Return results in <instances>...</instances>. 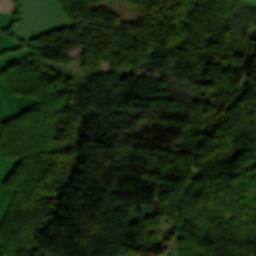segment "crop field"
<instances>
[{
    "mask_svg": "<svg viewBox=\"0 0 256 256\" xmlns=\"http://www.w3.org/2000/svg\"><path fill=\"white\" fill-rule=\"evenodd\" d=\"M21 23L11 33L27 42L54 31L75 26L58 0H18Z\"/></svg>",
    "mask_w": 256,
    "mask_h": 256,
    "instance_id": "8a807250",
    "label": "crop field"
},
{
    "mask_svg": "<svg viewBox=\"0 0 256 256\" xmlns=\"http://www.w3.org/2000/svg\"><path fill=\"white\" fill-rule=\"evenodd\" d=\"M13 120L14 118L9 114L0 96V136L2 133V126ZM20 162V159L6 160L0 146V226L11 208L17 191L16 189L2 185Z\"/></svg>",
    "mask_w": 256,
    "mask_h": 256,
    "instance_id": "ac0d7876",
    "label": "crop field"
},
{
    "mask_svg": "<svg viewBox=\"0 0 256 256\" xmlns=\"http://www.w3.org/2000/svg\"><path fill=\"white\" fill-rule=\"evenodd\" d=\"M0 93L3 97L5 106L15 119L18 118L25 111H27L34 103V96H12L1 77Z\"/></svg>",
    "mask_w": 256,
    "mask_h": 256,
    "instance_id": "34b2d1b8",
    "label": "crop field"
},
{
    "mask_svg": "<svg viewBox=\"0 0 256 256\" xmlns=\"http://www.w3.org/2000/svg\"><path fill=\"white\" fill-rule=\"evenodd\" d=\"M36 54V52L32 51L30 48H25L17 52L6 54L0 57V71L5 68L7 65L15 62L16 60L31 56Z\"/></svg>",
    "mask_w": 256,
    "mask_h": 256,
    "instance_id": "412701ff",
    "label": "crop field"
},
{
    "mask_svg": "<svg viewBox=\"0 0 256 256\" xmlns=\"http://www.w3.org/2000/svg\"><path fill=\"white\" fill-rule=\"evenodd\" d=\"M5 36H6V34L4 32L0 31V52H4L6 50L16 48V47L23 45L18 42L7 39V38H5Z\"/></svg>",
    "mask_w": 256,
    "mask_h": 256,
    "instance_id": "f4fd0767",
    "label": "crop field"
},
{
    "mask_svg": "<svg viewBox=\"0 0 256 256\" xmlns=\"http://www.w3.org/2000/svg\"><path fill=\"white\" fill-rule=\"evenodd\" d=\"M14 14L0 13V30L5 31L13 22Z\"/></svg>",
    "mask_w": 256,
    "mask_h": 256,
    "instance_id": "dd49c442",
    "label": "crop field"
},
{
    "mask_svg": "<svg viewBox=\"0 0 256 256\" xmlns=\"http://www.w3.org/2000/svg\"><path fill=\"white\" fill-rule=\"evenodd\" d=\"M0 12L15 13L13 0H0Z\"/></svg>",
    "mask_w": 256,
    "mask_h": 256,
    "instance_id": "e52e79f7",
    "label": "crop field"
},
{
    "mask_svg": "<svg viewBox=\"0 0 256 256\" xmlns=\"http://www.w3.org/2000/svg\"><path fill=\"white\" fill-rule=\"evenodd\" d=\"M137 254L133 252L130 248H124L117 252L114 256H136Z\"/></svg>",
    "mask_w": 256,
    "mask_h": 256,
    "instance_id": "d8731c3e",
    "label": "crop field"
},
{
    "mask_svg": "<svg viewBox=\"0 0 256 256\" xmlns=\"http://www.w3.org/2000/svg\"><path fill=\"white\" fill-rule=\"evenodd\" d=\"M163 256H180V246H175L171 248L170 251H168L165 255Z\"/></svg>",
    "mask_w": 256,
    "mask_h": 256,
    "instance_id": "5a996713",
    "label": "crop field"
},
{
    "mask_svg": "<svg viewBox=\"0 0 256 256\" xmlns=\"http://www.w3.org/2000/svg\"><path fill=\"white\" fill-rule=\"evenodd\" d=\"M241 1H245V2L256 4V0H241Z\"/></svg>",
    "mask_w": 256,
    "mask_h": 256,
    "instance_id": "3316defc",
    "label": "crop field"
},
{
    "mask_svg": "<svg viewBox=\"0 0 256 256\" xmlns=\"http://www.w3.org/2000/svg\"><path fill=\"white\" fill-rule=\"evenodd\" d=\"M0 254H1V251H0Z\"/></svg>",
    "mask_w": 256,
    "mask_h": 256,
    "instance_id": "28ad6ade",
    "label": "crop field"
}]
</instances>
